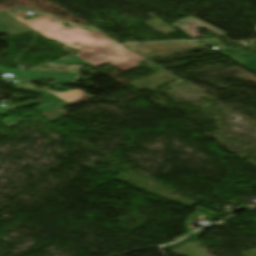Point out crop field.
Returning <instances> with one entry per match:
<instances>
[{"label": "crop field", "instance_id": "crop-field-1", "mask_svg": "<svg viewBox=\"0 0 256 256\" xmlns=\"http://www.w3.org/2000/svg\"><path fill=\"white\" fill-rule=\"evenodd\" d=\"M21 13L9 14L47 38L56 39L72 48L78 49L77 54L84 61H89L95 55L112 47L114 43L97 32H86L79 28H66L62 24L42 15L39 18L23 20Z\"/></svg>", "mask_w": 256, "mask_h": 256}, {"label": "crop field", "instance_id": "crop-field-2", "mask_svg": "<svg viewBox=\"0 0 256 256\" xmlns=\"http://www.w3.org/2000/svg\"><path fill=\"white\" fill-rule=\"evenodd\" d=\"M51 92V94H49ZM45 100L27 102L22 104H17L19 108L37 105L45 103L48 106H43L37 111H39L44 117H46L49 121H54L60 118V115H64L65 113L61 112L59 109L70 104H75L86 99L92 98L91 96L81 92L80 90H71L65 93H55L53 91L44 90L42 91ZM47 95V96H45ZM52 95V97H50ZM53 98V100H51Z\"/></svg>", "mask_w": 256, "mask_h": 256}, {"label": "crop field", "instance_id": "crop-field-3", "mask_svg": "<svg viewBox=\"0 0 256 256\" xmlns=\"http://www.w3.org/2000/svg\"><path fill=\"white\" fill-rule=\"evenodd\" d=\"M145 61L141 57L135 55L134 53L128 51L127 49L119 46L117 48L111 49L104 54L100 55L94 59L91 64L96 67L105 63H110L116 68L124 71L131 68L139 67L136 62Z\"/></svg>", "mask_w": 256, "mask_h": 256}, {"label": "crop field", "instance_id": "crop-field-4", "mask_svg": "<svg viewBox=\"0 0 256 256\" xmlns=\"http://www.w3.org/2000/svg\"><path fill=\"white\" fill-rule=\"evenodd\" d=\"M14 72L20 75L22 79H43V78H53L58 82H69L75 78L76 73H57V72H48L41 71L42 73H35L36 70L28 71V70H9L0 67V73L5 72Z\"/></svg>", "mask_w": 256, "mask_h": 256}, {"label": "crop field", "instance_id": "crop-field-5", "mask_svg": "<svg viewBox=\"0 0 256 256\" xmlns=\"http://www.w3.org/2000/svg\"><path fill=\"white\" fill-rule=\"evenodd\" d=\"M1 15H5L2 17ZM0 33L6 35H18L26 32L34 31L31 28L27 27L23 23L19 22L18 20L14 19L8 14L0 13Z\"/></svg>", "mask_w": 256, "mask_h": 256}, {"label": "crop field", "instance_id": "crop-field-6", "mask_svg": "<svg viewBox=\"0 0 256 256\" xmlns=\"http://www.w3.org/2000/svg\"><path fill=\"white\" fill-rule=\"evenodd\" d=\"M218 52L227 56L228 58L232 59L233 61H235L236 63L242 66L249 64L253 61H256V55H249V54L233 51L228 48L218 50Z\"/></svg>", "mask_w": 256, "mask_h": 256}, {"label": "crop field", "instance_id": "crop-field-7", "mask_svg": "<svg viewBox=\"0 0 256 256\" xmlns=\"http://www.w3.org/2000/svg\"><path fill=\"white\" fill-rule=\"evenodd\" d=\"M65 61H68V63H77V64H84L80 59L74 57L73 55L67 56L65 58ZM63 59L55 61V63H64Z\"/></svg>", "mask_w": 256, "mask_h": 256}, {"label": "crop field", "instance_id": "crop-field-8", "mask_svg": "<svg viewBox=\"0 0 256 256\" xmlns=\"http://www.w3.org/2000/svg\"><path fill=\"white\" fill-rule=\"evenodd\" d=\"M26 87H28V88L31 89V90H37V89H38V88H36L34 85L29 84V85H26V86H24V87L18 89V90H24V88H26Z\"/></svg>", "mask_w": 256, "mask_h": 256}, {"label": "crop field", "instance_id": "crop-field-9", "mask_svg": "<svg viewBox=\"0 0 256 256\" xmlns=\"http://www.w3.org/2000/svg\"><path fill=\"white\" fill-rule=\"evenodd\" d=\"M191 18H193V17H191ZM193 19H195V18H193ZM195 20H197V19H195ZM197 21H199V20H197ZM199 22H201V21H199ZM201 23H203V22H201ZM203 24H205V23H203ZM205 25H207V24H205ZM207 26H209V25H207ZM209 27H211V26H209ZM211 28H213V27H211ZM213 29H215V28H213ZM215 30H217V29H215ZM217 31H219V30H217Z\"/></svg>", "mask_w": 256, "mask_h": 256}]
</instances>
